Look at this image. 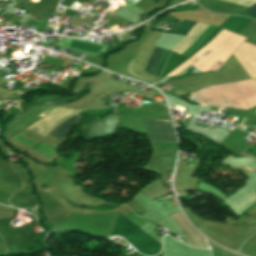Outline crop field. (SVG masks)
<instances>
[{"label": "crop field", "instance_id": "crop-field-7", "mask_svg": "<svg viewBox=\"0 0 256 256\" xmlns=\"http://www.w3.org/2000/svg\"><path fill=\"white\" fill-rule=\"evenodd\" d=\"M125 1H127V2H129V3L134 5L138 0H125Z\"/></svg>", "mask_w": 256, "mask_h": 256}, {"label": "crop field", "instance_id": "crop-field-3", "mask_svg": "<svg viewBox=\"0 0 256 256\" xmlns=\"http://www.w3.org/2000/svg\"><path fill=\"white\" fill-rule=\"evenodd\" d=\"M79 122L78 116L75 115L71 118H69L68 120H66L65 122L59 124L56 128L52 129L50 131V134L59 137L61 139H65L67 133L71 130V128L77 123ZM60 139V140H61ZM62 140V141H63Z\"/></svg>", "mask_w": 256, "mask_h": 256}, {"label": "crop field", "instance_id": "crop-field-4", "mask_svg": "<svg viewBox=\"0 0 256 256\" xmlns=\"http://www.w3.org/2000/svg\"><path fill=\"white\" fill-rule=\"evenodd\" d=\"M71 48H75V49H79V50H83V51H88V52H92V53H96L98 54L100 48L94 45H90V44H85V43H81V42H75L72 41Z\"/></svg>", "mask_w": 256, "mask_h": 256}, {"label": "crop field", "instance_id": "crop-field-5", "mask_svg": "<svg viewBox=\"0 0 256 256\" xmlns=\"http://www.w3.org/2000/svg\"><path fill=\"white\" fill-rule=\"evenodd\" d=\"M195 24H196L195 22L184 20L173 33L186 36L188 32L194 27Z\"/></svg>", "mask_w": 256, "mask_h": 256}, {"label": "crop field", "instance_id": "crop-field-8", "mask_svg": "<svg viewBox=\"0 0 256 256\" xmlns=\"http://www.w3.org/2000/svg\"><path fill=\"white\" fill-rule=\"evenodd\" d=\"M244 170H247V171L251 172V170H248V169H245V168H244Z\"/></svg>", "mask_w": 256, "mask_h": 256}, {"label": "crop field", "instance_id": "crop-field-9", "mask_svg": "<svg viewBox=\"0 0 256 256\" xmlns=\"http://www.w3.org/2000/svg\"><path fill=\"white\" fill-rule=\"evenodd\" d=\"M176 107V105H174V108Z\"/></svg>", "mask_w": 256, "mask_h": 256}, {"label": "crop field", "instance_id": "crop-field-2", "mask_svg": "<svg viewBox=\"0 0 256 256\" xmlns=\"http://www.w3.org/2000/svg\"><path fill=\"white\" fill-rule=\"evenodd\" d=\"M163 51H164L163 49L155 47V49L153 50V52H152V54H151V56L148 60V63L146 65L144 71H146L150 74H153ZM170 53H171L170 51H167V50L164 51V53H163V55H162V57L159 61V64H158V66H157L153 75H155L157 77H160V75H161V73H162V71L165 67V64L168 60V57H169Z\"/></svg>", "mask_w": 256, "mask_h": 256}, {"label": "crop field", "instance_id": "crop-field-1", "mask_svg": "<svg viewBox=\"0 0 256 256\" xmlns=\"http://www.w3.org/2000/svg\"><path fill=\"white\" fill-rule=\"evenodd\" d=\"M143 120L150 141L176 143L172 125L169 120Z\"/></svg>", "mask_w": 256, "mask_h": 256}, {"label": "crop field", "instance_id": "crop-field-6", "mask_svg": "<svg viewBox=\"0 0 256 256\" xmlns=\"http://www.w3.org/2000/svg\"><path fill=\"white\" fill-rule=\"evenodd\" d=\"M246 11L256 17V4L252 5L248 9H246Z\"/></svg>", "mask_w": 256, "mask_h": 256}]
</instances>
